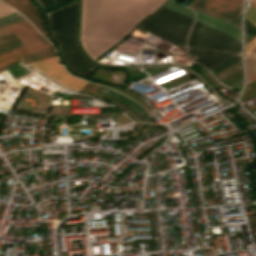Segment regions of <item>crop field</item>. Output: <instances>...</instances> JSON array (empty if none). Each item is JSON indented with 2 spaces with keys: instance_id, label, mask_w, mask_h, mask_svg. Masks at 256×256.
Here are the masks:
<instances>
[{
  "instance_id": "8a807250",
  "label": "crop field",
  "mask_w": 256,
  "mask_h": 256,
  "mask_svg": "<svg viewBox=\"0 0 256 256\" xmlns=\"http://www.w3.org/2000/svg\"><path fill=\"white\" fill-rule=\"evenodd\" d=\"M165 0H82L81 43L93 59Z\"/></svg>"
},
{
  "instance_id": "ac0d7876",
  "label": "crop field",
  "mask_w": 256,
  "mask_h": 256,
  "mask_svg": "<svg viewBox=\"0 0 256 256\" xmlns=\"http://www.w3.org/2000/svg\"><path fill=\"white\" fill-rule=\"evenodd\" d=\"M29 65L68 88L77 90L85 82L69 75L59 64L57 56Z\"/></svg>"
},
{
  "instance_id": "34b2d1b8",
  "label": "crop field",
  "mask_w": 256,
  "mask_h": 256,
  "mask_svg": "<svg viewBox=\"0 0 256 256\" xmlns=\"http://www.w3.org/2000/svg\"><path fill=\"white\" fill-rule=\"evenodd\" d=\"M192 5L240 22L241 1L237 0H194Z\"/></svg>"
},
{
  "instance_id": "412701ff",
  "label": "crop field",
  "mask_w": 256,
  "mask_h": 256,
  "mask_svg": "<svg viewBox=\"0 0 256 256\" xmlns=\"http://www.w3.org/2000/svg\"><path fill=\"white\" fill-rule=\"evenodd\" d=\"M6 4L14 7L22 15H24L34 26L46 37L48 41L54 44L46 28L45 21L41 15L38 7H36L31 0H3Z\"/></svg>"
},
{
  "instance_id": "f4fd0767",
  "label": "crop field",
  "mask_w": 256,
  "mask_h": 256,
  "mask_svg": "<svg viewBox=\"0 0 256 256\" xmlns=\"http://www.w3.org/2000/svg\"><path fill=\"white\" fill-rule=\"evenodd\" d=\"M8 28L19 38L22 43L32 51L45 45H49L48 41L42 37L39 32L27 20L8 26Z\"/></svg>"
},
{
  "instance_id": "dd49c442",
  "label": "crop field",
  "mask_w": 256,
  "mask_h": 256,
  "mask_svg": "<svg viewBox=\"0 0 256 256\" xmlns=\"http://www.w3.org/2000/svg\"><path fill=\"white\" fill-rule=\"evenodd\" d=\"M196 16H197V19H196L197 21L203 22V23L225 33L226 35L237 40L238 42H240V29L239 28H237L231 24H228L226 22L215 19L213 17H210L208 15H205L203 13H200L198 11H196Z\"/></svg>"
},
{
  "instance_id": "e52e79f7",
  "label": "crop field",
  "mask_w": 256,
  "mask_h": 256,
  "mask_svg": "<svg viewBox=\"0 0 256 256\" xmlns=\"http://www.w3.org/2000/svg\"><path fill=\"white\" fill-rule=\"evenodd\" d=\"M97 91L102 92V93L122 102L127 107H129L131 110H133L144 122L151 123L146 111L141 106H139L136 102H134L130 99H127V98H125L107 88H104L102 86Z\"/></svg>"
},
{
  "instance_id": "d8731c3e",
  "label": "crop field",
  "mask_w": 256,
  "mask_h": 256,
  "mask_svg": "<svg viewBox=\"0 0 256 256\" xmlns=\"http://www.w3.org/2000/svg\"><path fill=\"white\" fill-rule=\"evenodd\" d=\"M55 50L50 46L42 47L40 49L34 50L32 52L26 53L20 56V62L23 64L30 63L33 61L41 60L51 56H55Z\"/></svg>"
},
{
  "instance_id": "5a996713",
  "label": "crop field",
  "mask_w": 256,
  "mask_h": 256,
  "mask_svg": "<svg viewBox=\"0 0 256 256\" xmlns=\"http://www.w3.org/2000/svg\"><path fill=\"white\" fill-rule=\"evenodd\" d=\"M21 19L23 17L19 13L0 3V25L16 22Z\"/></svg>"
},
{
  "instance_id": "3316defc",
  "label": "crop field",
  "mask_w": 256,
  "mask_h": 256,
  "mask_svg": "<svg viewBox=\"0 0 256 256\" xmlns=\"http://www.w3.org/2000/svg\"><path fill=\"white\" fill-rule=\"evenodd\" d=\"M26 52H29L27 50V48L24 46V47H21V48H18L16 50H13L9 53H6L4 55H1L0 56V68L16 61L19 59V55L21 54H24Z\"/></svg>"
},
{
  "instance_id": "28ad6ade",
  "label": "crop field",
  "mask_w": 256,
  "mask_h": 256,
  "mask_svg": "<svg viewBox=\"0 0 256 256\" xmlns=\"http://www.w3.org/2000/svg\"><path fill=\"white\" fill-rule=\"evenodd\" d=\"M247 80L246 84L256 79V48L246 58Z\"/></svg>"
},
{
  "instance_id": "d1516ede",
  "label": "crop field",
  "mask_w": 256,
  "mask_h": 256,
  "mask_svg": "<svg viewBox=\"0 0 256 256\" xmlns=\"http://www.w3.org/2000/svg\"><path fill=\"white\" fill-rule=\"evenodd\" d=\"M245 19L256 26V10L250 4L249 9L246 12ZM256 46V38L250 43L245 45L246 56Z\"/></svg>"
},
{
  "instance_id": "22f410ed",
  "label": "crop field",
  "mask_w": 256,
  "mask_h": 256,
  "mask_svg": "<svg viewBox=\"0 0 256 256\" xmlns=\"http://www.w3.org/2000/svg\"><path fill=\"white\" fill-rule=\"evenodd\" d=\"M242 60L241 52L237 53L236 55L232 56L231 58L227 59L223 63L219 64L218 66L214 67L213 69L209 70L212 75L227 68L228 66Z\"/></svg>"
},
{
  "instance_id": "cbeb9de0",
  "label": "crop field",
  "mask_w": 256,
  "mask_h": 256,
  "mask_svg": "<svg viewBox=\"0 0 256 256\" xmlns=\"http://www.w3.org/2000/svg\"><path fill=\"white\" fill-rule=\"evenodd\" d=\"M164 7L168 8V9H171L173 11H176V12H178L180 14L185 15V16H188V17H190L192 19L194 17V12L193 11H191V10H189L187 8H184V7L178 5V4H176V3H174V2H172L170 0L165 3Z\"/></svg>"
},
{
  "instance_id": "5142ce71",
  "label": "crop field",
  "mask_w": 256,
  "mask_h": 256,
  "mask_svg": "<svg viewBox=\"0 0 256 256\" xmlns=\"http://www.w3.org/2000/svg\"><path fill=\"white\" fill-rule=\"evenodd\" d=\"M190 7L193 8V9H196V10H198V11H201V12H203V13H205V14H208V15H210V16H213V17H215V18H218V19H221V20L226 21V22H228V23H231V24H233V25H236V26H238V27L241 28L240 24L237 23V22H235V21L229 20V19H227V18H224V17H222V16H219V15H217V14L211 13V12H209V11L200 9V8L195 7V6H192V5H190Z\"/></svg>"
},
{
  "instance_id": "d9b57169",
  "label": "crop field",
  "mask_w": 256,
  "mask_h": 256,
  "mask_svg": "<svg viewBox=\"0 0 256 256\" xmlns=\"http://www.w3.org/2000/svg\"><path fill=\"white\" fill-rule=\"evenodd\" d=\"M12 32L7 28H0V35L11 34Z\"/></svg>"
},
{
  "instance_id": "733c2abd",
  "label": "crop field",
  "mask_w": 256,
  "mask_h": 256,
  "mask_svg": "<svg viewBox=\"0 0 256 256\" xmlns=\"http://www.w3.org/2000/svg\"><path fill=\"white\" fill-rule=\"evenodd\" d=\"M251 1V3H252V5L255 7V9H256V0H250Z\"/></svg>"
},
{
  "instance_id": "4a817a6b",
  "label": "crop field",
  "mask_w": 256,
  "mask_h": 256,
  "mask_svg": "<svg viewBox=\"0 0 256 256\" xmlns=\"http://www.w3.org/2000/svg\"><path fill=\"white\" fill-rule=\"evenodd\" d=\"M242 1V0H241Z\"/></svg>"
}]
</instances>
